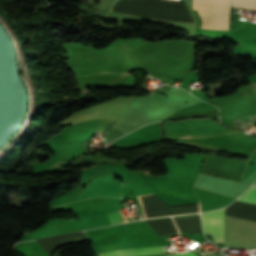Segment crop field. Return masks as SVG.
Masks as SVG:
<instances>
[{"instance_id":"1","label":"crop field","mask_w":256,"mask_h":256,"mask_svg":"<svg viewBox=\"0 0 256 256\" xmlns=\"http://www.w3.org/2000/svg\"><path fill=\"white\" fill-rule=\"evenodd\" d=\"M230 0H193V9H197L202 28L228 29Z\"/></svg>"},{"instance_id":"2","label":"crop field","mask_w":256,"mask_h":256,"mask_svg":"<svg viewBox=\"0 0 256 256\" xmlns=\"http://www.w3.org/2000/svg\"><path fill=\"white\" fill-rule=\"evenodd\" d=\"M201 218L203 232L212 234L215 242H224V209L204 214Z\"/></svg>"},{"instance_id":"3","label":"crop field","mask_w":256,"mask_h":256,"mask_svg":"<svg viewBox=\"0 0 256 256\" xmlns=\"http://www.w3.org/2000/svg\"><path fill=\"white\" fill-rule=\"evenodd\" d=\"M167 253L163 247L133 248L100 253L99 256H141Z\"/></svg>"},{"instance_id":"4","label":"crop field","mask_w":256,"mask_h":256,"mask_svg":"<svg viewBox=\"0 0 256 256\" xmlns=\"http://www.w3.org/2000/svg\"><path fill=\"white\" fill-rule=\"evenodd\" d=\"M238 201L247 202L256 205V186L249 188L242 196H240Z\"/></svg>"},{"instance_id":"5","label":"crop field","mask_w":256,"mask_h":256,"mask_svg":"<svg viewBox=\"0 0 256 256\" xmlns=\"http://www.w3.org/2000/svg\"><path fill=\"white\" fill-rule=\"evenodd\" d=\"M106 216H107L111 225L126 221V219H125L124 215L122 214L121 210L110 213V214H107Z\"/></svg>"},{"instance_id":"6","label":"crop field","mask_w":256,"mask_h":256,"mask_svg":"<svg viewBox=\"0 0 256 256\" xmlns=\"http://www.w3.org/2000/svg\"><path fill=\"white\" fill-rule=\"evenodd\" d=\"M232 5L256 9V0H232Z\"/></svg>"},{"instance_id":"7","label":"crop field","mask_w":256,"mask_h":256,"mask_svg":"<svg viewBox=\"0 0 256 256\" xmlns=\"http://www.w3.org/2000/svg\"><path fill=\"white\" fill-rule=\"evenodd\" d=\"M162 256H195L193 252L182 253V254H172V255H162Z\"/></svg>"}]
</instances>
